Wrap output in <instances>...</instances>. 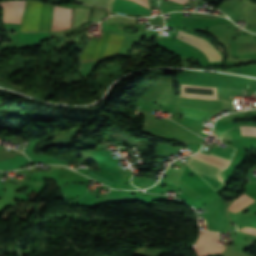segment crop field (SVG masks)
<instances>
[{
	"instance_id": "1",
	"label": "crop field",
	"mask_w": 256,
	"mask_h": 256,
	"mask_svg": "<svg viewBox=\"0 0 256 256\" xmlns=\"http://www.w3.org/2000/svg\"><path fill=\"white\" fill-rule=\"evenodd\" d=\"M235 149L232 147L226 146L225 148H212L211 149V155L220 157L222 159L230 161ZM192 170L197 171L199 173L208 175L210 177L216 178L218 180H221L220 178V170L222 168H219L217 166H214L212 164H209L207 162H204L202 160L196 159L194 157H191L187 163H186ZM195 172L201 179H203L214 191L220 188L222 185H224L223 182L218 181L216 179L207 177L205 175L199 174Z\"/></svg>"
},
{
	"instance_id": "2",
	"label": "crop field",
	"mask_w": 256,
	"mask_h": 256,
	"mask_svg": "<svg viewBox=\"0 0 256 256\" xmlns=\"http://www.w3.org/2000/svg\"><path fill=\"white\" fill-rule=\"evenodd\" d=\"M46 4L27 1L21 30H50L53 5Z\"/></svg>"
},
{
	"instance_id": "3",
	"label": "crop field",
	"mask_w": 256,
	"mask_h": 256,
	"mask_svg": "<svg viewBox=\"0 0 256 256\" xmlns=\"http://www.w3.org/2000/svg\"><path fill=\"white\" fill-rule=\"evenodd\" d=\"M124 36L103 33L100 40L91 39L89 45L82 51L80 61L115 56L118 54Z\"/></svg>"
},
{
	"instance_id": "4",
	"label": "crop field",
	"mask_w": 256,
	"mask_h": 256,
	"mask_svg": "<svg viewBox=\"0 0 256 256\" xmlns=\"http://www.w3.org/2000/svg\"><path fill=\"white\" fill-rule=\"evenodd\" d=\"M114 0H77L78 3L100 7L110 12ZM112 12H127L133 15L149 14L148 0H116Z\"/></svg>"
},
{
	"instance_id": "5",
	"label": "crop field",
	"mask_w": 256,
	"mask_h": 256,
	"mask_svg": "<svg viewBox=\"0 0 256 256\" xmlns=\"http://www.w3.org/2000/svg\"><path fill=\"white\" fill-rule=\"evenodd\" d=\"M217 241V233L201 231L194 251L197 255L223 252L225 246L219 245Z\"/></svg>"
},
{
	"instance_id": "6",
	"label": "crop field",
	"mask_w": 256,
	"mask_h": 256,
	"mask_svg": "<svg viewBox=\"0 0 256 256\" xmlns=\"http://www.w3.org/2000/svg\"><path fill=\"white\" fill-rule=\"evenodd\" d=\"M25 0L0 2L3 22L20 23Z\"/></svg>"
},
{
	"instance_id": "7",
	"label": "crop field",
	"mask_w": 256,
	"mask_h": 256,
	"mask_svg": "<svg viewBox=\"0 0 256 256\" xmlns=\"http://www.w3.org/2000/svg\"><path fill=\"white\" fill-rule=\"evenodd\" d=\"M237 48L255 47L251 36H240L236 39ZM256 53V48L237 49V55Z\"/></svg>"
},
{
	"instance_id": "8",
	"label": "crop field",
	"mask_w": 256,
	"mask_h": 256,
	"mask_svg": "<svg viewBox=\"0 0 256 256\" xmlns=\"http://www.w3.org/2000/svg\"><path fill=\"white\" fill-rule=\"evenodd\" d=\"M252 200L249 196L247 195H242L239 198H237L230 206L229 209L233 212H237L240 209H242L244 206H246L247 204L251 203Z\"/></svg>"
},
{
	"instance_id": "9",
	"label": "crop field",
	"mask_w": 256,
	"mask_h": 256,
	"mask_svg": "<svg viewBox=\"0 0 256 256\" xmlns=\"http://www.w3.org/2000/svg\"><path fill=\"white\" fill-rule=\"evenodd\" d=\"M90 10L85 8H75L73 27L88 20Z\"/></svg>"
},
{
	"instance_id": "10",
	"label": "crop field",
	"mask_w": 256,
	"mask_h": 256,
	"mask_svg": "<svg viewBox=\"0 0 256 256\" xmlns=\"http://www.w3.org/2000/svg\"><path fill=\"white\" fill-rule=\"evenodd\" d=\"M103 15H104V12L94 10L91 21H100V19L103 17Z\"/></svg>"
},
{
	"instance_id": "11",
	"label": "crop field",
	"mask_w": 256,
	"mask_h": 256,
	"mask_svg": "<svg viewBox=\"0 0 256 256\" xmlns=\"http://www.w3.org/2000/svg\"><path fill=\"white\" fill-rule=\"evenodd\" d=\"M241 231L251 233V234H256V229H252V228H241Z\"/></svg>"
},
{
	"instance_id": "12",
	"label": "crop field",
	"mask_w": 256,
	"mask_h": 256,
	"mask_svg": "<svg viewBox=\"0 0 256 256\" xmlns=\"http://www.w3.org/2000/svg\"><path fill=\"white\" fill-rule=\"evenodd\" d=\"M171 1H175V2H179V3L185 4L187 0H171Z\"/></svg>"
}]
</instances>
